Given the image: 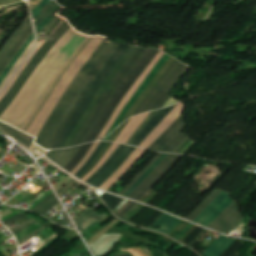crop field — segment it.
Here are the masks:
<instances>
[{"label": "crop field", "mask_w": 256, "mask_h": 256, "mask_svg": "<svg viewBox=\"0 0 256 256\" xmlns=\"http://www.w3.org/2000/svg\"><path fill=\"white\" fill-rule=\"evenodd\" d=\"M112 42L106 41L105 38L93 53L55 107L35 143L46 149H51L87 89L118 47V44Z\"/></svg>", "instance_id": "crop-field-1"}, {"label": "crop field", "mask_w": 256, "mask_h": 256, "mask_svg": "<svg viewBox=\"0 0 256 256\" xmlns=\"http://www.w3.org/2000/svg\"><path fill=\"white\" fill-rule=\"evenodd\" d=\"M103 39V37L99 36L86 38L54 79L30 117L21 127V130L37 137L49 115L74 77Z\"/></svg>", "instance_id": "crop-field-2"}, {"label": "crop field", "mask_w": 256, "mask_h": 256, "mask_svg": "<svg viewBox=\"0 0 256 256\" xmlns=\"http://www.w3.org/2000/svg\"><path fill=\"white\" fill-rule=\"evenodd\" d=\"M160 51L147 49L119 88L116 90L112 98L107 103L106 107L104 108L103 112L99 116L95 126L87 135L84 143L93 142L97 140L99 134L102 132L104 127L106 126L107 122L111 118L112 114L116 110L119 103L122 101L124 96L133 86V84L137 81L143 71L147 68V66L152 62V60L157 56Z\"/></svg>", "instance_id": "crop-field-3"}, {"label": "crop field", "mask_w": 256, "mask_h": 256, "mask_svg": "<svg viewBox=\"0 0 256 256\" xmlns=\"http://www.w3.org/2000/svg\"><path fill=\"white\" fill-rule=\"evenodd\" d=\"M127 47L128 46L126 44H121L120 47L116 50V52L113 54V56L110 58V60L107 62V64L104 66V68L101 70V72L99 73L95 81L92 83L90 88L88 89L85 97L81 101L80 105L74 112L73 116L71 117L67 125L64 127L61 135L59 136V138L57 139L56 143L52 148H63L73 128L78 123L80 117L82 116V114L90 104L91 100L99 90L105 78L115 67V65L117 64L118 60L120 59L124 51L127 49Z\"/></svg>", "instance_id": "crop-field-4"}, {"label": "crop field", "mask_w": 256, "mask_h": 256, "mask_svg": "<svg viewBox=\"0 0 256 256\" xmlns=\"http://www.w3.org/2000/svg\"><path fill=\"white\" fill-rule=\"evenodd\" d=\"M146 49L143 48H135V50L132 52L130 57L127 59L125 64L122 66L120 71L117 73L115 78L112 80V82L107 87L106 91L102 95L101 99L97 103L96 107L94 108L93 112L87 119L86 123L78 133L77 137L75 138L74 142L72 143V146L82 144L83 140L85 139L88 132L91 130V128L94 126L98 116L102 112L103 108L105 107L106 103L110 99V97L113 95L115 90L118 88V86L121 84L123 79L126 77V75L130 72V70L133 68V66L136 64V62L139 60V58L142 56V54L145 52Z\"/></svg>", "instance_id": "crop-field-5"}, {"label": "crop field", "mask_w": 256, "mask_h": 256, "mask_svg": "<svg viewBox=\"0 0 256 256\" xmlns=\"http://www.w3.org/2000/svg\"><path fill=\"white\" fill-rule=\"evenodd\" d=\"M71 27V26H70ZM66 20L63 24L56 30V32L48 39V41L41 47L40 51L31 60L29 65L26 67L24 72L6 94L4 99L0 102V115L6 110L12 100L15 98L19 90L25 84L27 79L30 77L35 68L40 64L44 57L49 53V51L54 47V45L60 40V38L66 33L70 28Z\"/></svg>", "instance_id": "crop-field-6"}, {"label": "crop field", "mask_w": 256, "mask_h": 256, "mask_svg": "<svg viewBox=\"0 0 256 256\" xmlns=\"http://www.w3.org/2000/svg\"><path fill=\"white\" fill-rule=\"evenodd\" d=\"M184 67L185 65L176 60V62L168 69L158 84L154 87L142 105L138 108L135 114L161 108L170 97V95L166 93L184 73L181 71Z\"/></svg>", "instance_id": "crop-field-7"}, {"label": "crop field", "mask_w": 256, "mask_h": 256, "mask_svg": "<svg viewBox=\"0 0 256 256\" xmlns=\"http://www.w3.org/2000/svg\"><path fill=\"white\" fill-rule=\"evenodd\" d=\"M33 33L30 18L15 32L6 46L0 52V75L24 46Z\"/></svg>", "instance_id": "crop-field-8"}, {"label": "crop field", "mask_w": 256, "mask_h": 256, "mask_svg": "<svg viewBox=\"0 0 256 256\" xmlns=\"http://www.w3.org/2000/svg\"><path fill=\"white\" fill-rule=\"evenodd\" d=\"M242 219L239 207L234 202L208 228L228 235Z\"/></svg>", "instance_id": "crop-field-9"}, {"label": "crop field", "mask_w": 256, "mask_h": 256, "mask_svg": "<svg viewBox=\"0 0 256 256\" xmlns=\"http://www.w3.org/2000/svg\"><path fill=\"white\" fill-rule=\"evenodd\" d=\"M134 49V47L129 46V48L126 50V52L124 53L123 57L121 58V60L119 61V63L116 65V67L114 68V70L112 71V73L109 75V77L107 78V80L105 81V83L102 85V87L100 88V90L98 91V93L96 94V96L94 97L93 101L91 102V104L89 105V107L87 108V110L85 111L84 115L82 116V118L80 119L79 123L77 124V126L75 127L74 131L72 132L70 138L68 139L67 143L65 144L64 148L66 147H70L74 137L76 136V134L79 132V130L81 129L82 125L84 124V122L86 121L87 117L89 116L90 112L92 111L93 107L95 106V104L98 102L99 98L101 97V95L103 94L104 90L106 89V87L108 86V84L110 83V81L112 80V78L114 77V75L117 73V71L119 70V68L122 66V64L124 63V61L126 60V58L129 56V54L131 53V51Z\"/></svg>", "instance_id": "crop-field-10"}, {"label": "crop field", "mask_w": 256, "mask_h": 256, "mask_svg": "<svg viewBox=\"0 0 256 256\" xmlns=\"http://www.w3.org/2000/svg\"><path fill=\"white\" fill-rule=\"evenodd\" d=\"M162 51L159 53V55L153 60V62L148 66V68L145 70V72L142 74V76L139 78V80L136 82L134 87L131 89V91L128 93V95L124 98V100L121 102V104L118 106L116 112L114 113L113 117L111 118L109 124L106 126V128L103 130L101 136L98 138L102 139L104 138L105 134L117 118V116L120 114V112L123 110L127 102L130 100V98L133 96V94L136 92V90L139 88V86L144 82V80L147 78V76L150 74L152 69L154 68L155 64L160 60V58L164 55Z\"/></svg>", "instance_id": "crop-field-11"}, {"label": "crop field", "mask_w": 256, "mask_h": 256, "mask_svg": "<svg viewBox=\"0 0 256 256\" xmlns=\"http://www.w3.org/2000/svg\"><path fill=\"white\" fill-rule=\"evenodd\" d=\"M185 104L179 103L173 111L153 130L149 136L142 142L141 147L148 148L181 114Z\"/></svg>", "instance_id": "crop-field-12"}, {"label": "crop field", "mask_w": 256, "mask_h": 256, "mask_svg": "<svg viewBox=\"0 0 256 256\" xmlns=\"http://www.w3.org/2000/svg\"><path fill=\"white\" fill-rule=\"evenodd\" d=\"M186 125L181 115L150 147L154 151H161Z\"/></svg>", "instance_id": "crop-field-13"}, {"label": "crop field", "mask_w": 256, "mask_h": 256, "mask_svg": "<svg viewBox=\"0 0 256 256\" xmlns=\"http://www.w3.org/2000/svg\"><path fill=\"white\" fill-rule=\"evenodd\" d=\"M170 58V56L166 55L162 58V60L156 65V67L153 69V71L151 72V74L148 76V78L146 79V81L143 83V85L138 89V91L134 94V96L132 97V99L129 101V103L127 104V106L124 108V110L122 111V113L119 115V117L117 118V120L115 121V123L112 125V127L110 128V130L108 131L107 135L116 127H118L121 119L123 118V116L125 115V113L128 111V109L133 105V103L138 99V97L141 95V93L144 91V89L146 88V86L149 84V82L152 80V78L155 76V74L160 70V68L167 62V60ZM157 75V74H156ZM154 79V78H153ZM106 135V136H107Z\"/></svg>", "instance_id": "crop-field-14"}, {"label": "crop field", "mask_w": 256, "mask_h": 256, "mask_svg": "<svg viewBox=\"0 0 256 256\" xmlns=\"http://www.w3.org/2000/svg\"><path fill=\"white\" fill-rule=\"evenodd\" d=\"M175 105L160 110L148 123L147 125L141 130L135 140L132 142V145L139 146L140 143L146 138V136L156 128L160 122L170 113Z\"/></svg>", "instance_id": "crop-field-15"}, {"label": "crop field", "mask_w": 256, "mask_h": 256, "mask_svg": "<svg viewBox=\"0 0 256 256\" xmlns=\"http://www.w3.org/2000/svg\"><path fill=\"white\" fill-rule=\"evenodd\" d=\"M174 61H175V59H173L171 57L168 60V62L161 68V70L157 73V75L154 77V79L151 81V83L145 89V91L140 96V98L136 101V103L133 105V107L130 109V111L127 113V115L124 117L122 122H124L127 118H129L133 115V113L136 111V109L141 105V103L144 101V99L147 97V95L150 93V91L153 89V87L156 85V83L159 81V79L162 77V75L174 63Z\"/></svg>", "instance_id": "crop-field-16"}, {"label": "crop field", "mask_w": 256, "mask_h": 256, "mask_svg": "<svg viewBox=\"0 0 256 256\" xmlns=\"http://www.w3.org/2000/svg\"><path fill=\"white\" fill-rule=\"evenodd\" d=\"M225 194L223 198L198 222L207 227L212 221H214L233 201Z\"/></svg>", "instance_id": "crop-field-17"}, {"label": "crop field", "mask_w": 256, "mask_h": 256, "mask_svg": "<svg viewBox=\"0 0 256 256\" xmlns=\"http://www.w3.org/2000/svg\"><path fill=\"white\" fill-rule=\"evenodd\" d=\"M144 151V149L137 148L124 165L107 182H105L100 189L107 191L133 165Z\"/></svg>", "instance_id": "crop-field-18"}, {"label": "crop field", "mask_w": 256, "mask_h": 256, "mask_svg": "<svg viewBox=\"0 0 256 256\" xmlns=\"http://www.w3.org/2000/svg\"><path fill=\"white\" fill-rule=\"evenodd\" d=\"M149 113H145V114H142V115H138V116L132 117L131 120L126 125V127L121 132V134L119 135V137L116 139V142H120V143L126 144L127 141L133 135V133L136 131V129L139 127V125L149 115Z\"/></svg>", "instance_id": "crop-field-19"}, {"label": "crop field", "mask_w": 256, "mask_h": 256, "mask_svg": "<svg viewBox=\"0 0 256 256\" xmlns=\"http://www.w3.org/2000/svg\"><path fill=\"white\" fill-rule=\"evenodd\" d=\"M135 149V147L128 146L121 157L92 186L99 188L129 158Z\"/></svg>", "instance_id": "crop-field-20"}, {"label": "crop field", "mask_w": 256, "mask_h": 256, "mask_svg": "<svg viewBox=\"0 0 256 256\" xmlns=\"http://www.w3.org/2000/svg\"><path fill=\"white\" fill-rule=\"evenodd\" d=\"M79 148L80 146L71 149L51 150L46 154V157H48L63 168L70 161V159L74 156Z\"/></svg>", "instance_id": "crop-field-21"}, {"label": "crop field", "mask_w": 256, "mask_h": 256, "mask_svg": "<svg viewBox=\"0 0 256 256\" xmlns=\"http://www.w3.org/2000/svg\"><path fill=\"white\" fill-rule=\"evenodd\" d=\"M234 241V239H229L221 235L210 247H208L201 254L204 256H220L233 244Z\"/></svg>", "instance_id": "crop-field-22"}, {"label": "crop field", "mask_w": 256, "mask_h": 256, "mask_svg": "<svg viewBox=\"0 0 256 256\" xmlns=\"http://www.w3.org/2000/svg\"><path fill=\"white\" fill-rule=\"evenodd\" d=\"M181 221L182 219L165 213L155 224L150 227V229L162 231L168 235L170 231ZM154 227H159L160 229H155Z\"/></svg>", "instance_id": "crop-field-23"}, {"label": "crop field", "mask_w": 256, "mask_h": 256, "mask_svg": "<svg viewBox=\"0 0 256 256\" xmlns=\"http://www.w3.org/2000/svg\"><path fill=\"white\" fill-rule=\"evenodd\" d=\"M127 148L126 145L120 144V146L117 148V150L114 152V154L111 156V158L97 171L95 172L87 181L86 183L92 184L95 180H97L118 158L119 156L124 152V150Z\"/></svg>", "instance_id": "crop-field-24"}, {"label": "crop field", "mask_w": 256, "mask_h": 256, "mask_svg": "<svg viewBox=\"0 0 256 256\" xmlns=\"http://www.w3.org/2000/svg\"><path fill=\"white\" fill-rule=\"evenodd\" d=\"M92 145L93 143L81 146V148L72 158V160L64 167V169L71 173L76 168V166L81 162V160L85 157L86 153Z\"/></svg>", "instance_id": "crop-field-25"}, {"label": "crop field", "mask_w": 256, "mask_h": 256, "mask_svg": "<svg viewBox=\"0 0 256 256\" xmlns=\"http://www.w3.org/2000/svg\"><path fill=\"white\" fill-rule=\"evenodd\" d=\"M188 138L189 136L180 132L162 151L175 153Z\"/></svg>", "instance_id": "crop-field-26"}, {"label": "crop field", "mask_w": 256, "mask_h": 256, "mask_svg": "<svg viewBox=\"0 0 256 256\" xmlns=\"http://www.w3.org/2000/svg\"><path fill=\"white\" fill-rule=\"evenodd\" d=\"M222 191H213L205 201L187 218V220L193 221Z\"/></svg>", "instance_id": "crop-field-27"}, {"label": "crop field", "mask_w": 256, "mask_h": 256, "mask_svg": "<svg viewBox=\"0 0 256 256\" xmlns=\"http://www.w3.org/2000/svg\"><path fill=\"white\" fill-rule=\"evenodd\" d=\"M107 215H102L99 213L94 212L89 218L83 221L81 224L78 225L79 228L82 230H87L88 228L92 227L102 219H104Z\"/></svg>", "instance_id": "crop-field-28"}, {"label": "crop field", "mask_w": 256, "mask_h": 256, "mask_svg": "<svg viewBox=\"0 0 256 256\" xmlns=\"http://www.w3.org/2000/svg\"><path fill=\"white\" fill-rule=\"evenodd\" d=\"M181 156L182 155H178L136 200L139 201L172 168Z\"/></svg>", "instance_id": "crop-field-29"}, {"label": "crop field", "mask_w": 256, "mask_h": 256, "mask_svg": "<svg viewBox=\"0 0 256 256\" xmlns=\"http://www.w3.org/2000/svg\"><path fill=\"white\" fill-rule=\"evenodd\" d=\"M101 197L112 211L124 200L123 198L109 194L107 192H105Z\"/></svg>", "instance_id": "crop-field-30"}, {"label": "crop field", "mask_w": 256, "mask_h": 256, "mask_svg": "<svg viewBox=\"0 0 256 256\" xmlns=\"http://www.w3.org/2000/svg\"><path fill=\"white\" fill-rule=\"evenodd\" d=\"M57 6L58 4L55 1L51 2L35 20L36 27H38L55 10Z\"/></svg>", "instance_id": "crop-field-31"}, {"label": "crop field", "mask_w": 256, "mask_h": 256, "mask_svg": "<svg viewBox=\"0 0 256 256\" xmlns=\"http://www.w3.org/2000/svg\"><path fill=\"white\" fill-rule=\"evenodd\" d=\"M34 44V40L31 42V44L29 45V47L26 49L25 53L23 54V56L20 58V60L16 63V65L14 66V68L11 70V72L9 73V75L6 77V79L3 81V83L0 85V91H2L3 87L5 86V84L9 81V79L12 77L13 73L17 70V68L21 65V63L24 61V59L27 57V55L29 54V52L31 51L32 47Z\"/></svg>", "instance_id": "crop-field-32"}, {"label": "crop field", "mask_w": 256, "mask_h": 256, "mask_svg": "<svg viewBox=\"0 0 256 256\" xmlns=\"http://www.w3.org/2000/svg\"><path fill=\"white\" fill-rule=\"evenodd\" d=\"M119 144L113 143V145L110 147V149L107 151V153L104 155V157L99 161V163L95 166V168L82 180L86 181L96 170H98L101 165L109 159V157L112 155V153L115 151V149L118 147Z\"/></svg>", "instance_id": "crop-field-33"}, {"label": "crop field", "mask_w": 256, "mask_h": 256, "mask_svg": "<svg viewBox=\"0 0 256 256\" xmlns=\"http://www.w3.org/2000/svg\"><path fill=\"white\" fill-rule=\"evenodd\" d=\"M34 35H32L30 37V39L28 40V42L25 44V46L22 48V50L18 53V55L14 58V60L10 63V65L7 67V69L5 70V72L2 74V76L0 77V84L1 82L4 80V78L7 76V74L10 72V70L12 69V67L15 65V63L18 61V59L22 56L23 52L25 51V49L27 48V46L30 44V42L33 40Z\"/></svg>", "instance_id": "crop-field-34"}, {"label": "crop field", "mask_w": 256, "mask_h": 256, "mask_svg": "<svg viewBox=\"0 0 256 256\" xmlns=\"http://www.w3.org/2000/svg\"><path fill=\"white\" fill-rule=\"evenodd\" d=\"M163 153H159L154 160L120 193V195H124L148 170L149 168L159 159V157Z\"/></svg>", "instance_id": "crop-field-35"}, {"label": "crop field", "mask_w": 256, "mask_h": 256, "mask_svg": "<svg viewBox=\"0 0 256 256\" xmlns=\"http://www.w3.org/2000/svg\"><path fill=\"white\" fill-rule=\"evenodd\" d=\"M45 43V41L40 40L38 42L37 48L34 51V53L31 55V57L28 59V61L25 63V65L23 66V68L20 70V72L17 74V76L14 78V80L10 83V85L6 88V90L3 92V94L0 96V101L1 99L4 97V95L8 92V90L11 88V86L13 85V83L16 81V79L19 77V75L22 73V71L25 69V67L27 66V64L30 62V60L34 57V55L39 51L40 47Z\"/></svg>", "instance_id": "crop-field-36"}, {"label": "crop field", "mask_w": 256, "mask_h": 256, "mask_svg": "<svg viewBox=\"0 0 256 256\" xmlns=\"http://www.w3.org/2000/svg\"><path fill=\"white\" fill-rule=\"evenodd\" d=\"M171 156L172 155L169 154L128 197L131 198L138 190H140Z\"/></svg>", "instance_id": "crop-field-37"}, {"label": "crop field", "mask_w": 256, "mask_h": 256, "mask_svg": "<svg viewBox=\"0 0 256 256\" xmlns=\"http://www.w3.org/2000/svg\"><path fill=\"white\" fill-rule=\"evenodd\" d=\"M112 143L107 142L105 147L102 149L98 157L95 159V161L90 165V167L79 177V179H83L92 169L93 167L97 164V162L102 158V156L106 153V151L109 149Z\"/></svg>", "instance_id": "crop-field-38"}, {"label": "crop field", "mask_w": 256, "mask_h": 256, "mask_svg": "<svg viewBox=\"0 0 256 256\" xmlns=\"http://www.w3.org/2000/svg\"><path fill=\"white\" fill-rule=\"evenodd\" d=\"M106 142H101V144L99 145V147L97 148V150L95 151V153L93 154V156L90 158V160L86 163V165L78 172L76 173L74 176H76L77 178L88 168V166L93 162V160L97 157V155L99 154V152L101 151V149L103 148V146L105 145Z\"/></svg>", "instance_id": "crop-field-39"}, {"label": "crop field", "mask_w": 256, "mask_h": 256, "mask_svg": "<svg viewBox=\"0 0 256 256\" xmlns=\"http://www.w3.org/2000/svg\"><path fill=\"white\" fill-rule=\"evenodd\" d=\"M167 155V153H164L154 166L124 196L127 197Z\"/></svg>", "instance_id": "crop-field-40"}, {"label": "crop field", "mask_w": 256, "mask_h": 256, "mask_svg": "<svg viewBox=\"0 0 256 256\" xmlns=\"http://www.w3.org/2000/svg\"><path fill=\"white\" fill-rule=\"evenodd\" d=\"M177 155H173L167 162L166 164L149 180V182L139 191L137 192L132 199H136L140 193L160 174V172L176 157Z\"/></svg>", "instance_id": "crop-field-41"}, {"label": "crop field", "mask_w": 256, "mask_h": 256, "mask_svg": "<svg viewBox=\"0 0 256 256\" xmlns=\"http://www.w3.org/2000/svg\"><path fill=\"white\" fill-rule=\"evenodd\" d=\"M100 142H96L94 143V145L92 146V148L89 150V152L87 153L86 157L82 160V162L77 166V168L71 173V174H75L77 171H79L84 165L85 163L89 160L91 154L93 153V151L96 149V147L99 145Z\"/></svg>", "instance_id": "crop-field-42"}, {"label": "crop field", "mask_w": 256, "mask_h": 256, "mask_svg": "<svg viewBox=\"0 0 256 256\" xmlns=\"http://www.w3.org/2000/svg\"><path fill=\"white\" fill-rule=\"evenodd\" d=\"M64 7L59 6L38 28L39 33Z\"/></svg>", "instance_id": "crop-field-43"}, {"label": "crop field", "mask_w": 256, "mask_h": 256, "mask_svg": "<svg viewBox=\"0 0 256 256\" xmlns=\"http://www.w3.org/2000/svg\"><path fill=\"white\" fill-rule=\"evenodd\" d=\"M39 227H41V225H39L38 223L34 224L33 226L25 229L24 231H22L21 233H19L18 235H16L17 240H20L24 237H26L27 235H29L30 233H32L33 231H35L36 229H38Z\"/></svg>", "instance_id": "crop-field-44"}, {"label": "crop field", "mask_w": 256, "mask_h": 256, "mask_svg": "<svg viewBox=\"0 0 256 256\" xmlns=\"http://www.w3.org/2000/svg\"><path fill=\"white\" fill-rule=\"evenodd\" d=\"M34 223H36V222L34 220L30 219V220H28V221L18 225L17 227H15V228H13L11 230L14 232V234H17L20 231L24 230L25 228H27L28 226H30V225H32Z\"/></svg>", "instance_id": "crop-field-45"}, {"label": "crop field", "mask_w": 256, "mask_h": 256, "mask_svg": "<svg viewBox=\"0 0 256 256\" xmlns=\"http://www.w3.org/2000/svg\"><path fill=\"white\" fill-rule=\"evenodd\" d=\"M226 192H222L204 211L203 213L194 221L197 223L214 205L215 203L225 194Z\"/></svg>", "instance_id": "crop-field-46"}, {"label": "crop field", "mask_w": 256, "mask_h": 256, "mask_svg": "<svg viewBox=\"0 0 256 256\" xmlns=\"http://www.w3.org/2000/svg\"><path fill=\"white\" fill-rule=\"evenodd\" d=\"M0 127L10 136H14L19 130L0 122Z\"/></svg>", "instance_id": "crop-field-47"}, {"label": "crop field", "mask_w": 256, "mask_h": 256, "mask_svg": "<svg viewBox=\"0 0 256 256\" xmlns=\"http://www.w3.org/2000/svg\"><path fill=\"white\" fill-rule=\"evenodd\" d=\"M159 110L152 111L151 114L148 116V118L144 121V123L141 125V127L137 130V132L133 135V137L128 141V145L131 143V141L136 137V135L140 132V130L146 125V123L158 112Z\"/></svg>", "instance_id": "crop-field-48"}, {"label": "crop field", "mask_w": 256, "mask_h": 256, "mask_svg": "<svg viewBox=\"0 0 256 256\" xmlns=\"http://www.w3.org/2000/svg\"><path fill=\"white\" fill-rule=\"evenodd\" d=\"M93 212L90 210H86L84 211L81 215H79L78 217H76V219L74 220L76 222V224L78 225L83 219L89 217Z\"/></svg>", "instance_id": "crop-field-49"}, {"label": "crop field", "mask_w": 256, "mask_h": 256, "mask_svg": "<svg viewBox=\"0 0 256 256\" xmlns=\"http://www.w3.org/2000/svg\"><path fill=\"white\" fill-rule=\"evenodd\" d=\"M57 199H56V197H55V195L53 196V197H51L44 205H42L38 210H37V212L38 213H42L50 204H52L54 201H56ZM36 212V213H37Z\"/></svg>", "instance_id": "crop-field-50"}, {"label": "crop field", "mask_w": 256, "mask_h": 256, "mask_svg": "<svg viewBox=\"0 0 256 256\" xmlns=\"http://www.w3.org/2000/svg\"><path fill=\"white\" fill-rule=\"evenodd\" d=\"M51 0H44L38 8L33 12V18L37 17L41 10L50 2Z\"/></svg>", "instance_id": "crop-field-51"}, {"label": "crop field", "mask_w": 256, "mask_h": 256, "mask_svg": "<svg viewBox=\"0 0 256 256\" xmlns=\"http://www.w3.org/2000/svg\"><path fill=\"white\" fill-rule=\"evenodd\" d=\"M130 120V119H129ZM128 120V121H129ZM127 121V122H128ZM127 122H125L121 127H119L114 133H113V135L110 137V139L109 140H111V141H115V139L117 138V136L119 135V133L121 132V130L124 128V126L127 124Z\"/></svg>", "instance_id": "crop-field-52"}, {"label": "crop field", "mask_w": 256, "mask_h": 256, "mask_svg": "<svg viewBox=\"0 0 256 256\" xmlns=\"http://www.w3.org/2000/svg\"><path fill=\"white\" fill-rule=\"evenodd\" d=\"M45 228H40L38 230H36L35 232H33L32 234H30L29 236H27L26 238H24L23 240L19 241V245L22 244L23 242L27 241L28 239H30L31 237L35 236L36 234H38L40 231H42Z\"/></svg>", "instance_id": "crop-field-53"}, {"label": "crop field", "mask_w": 256, "mask_h": 256, "mask_svg": "<svg viewBox=\"0 0 256 256\" xmlns=\"http://www.w3.org/2000/svg\"><path fill=\"white\" fill-rule=\"evenodd\" d=\"M193 224H189L175 239L179 240L191 227Z\"/></svg>", "instance_id": "crop-field-54"}, {"label": "crop field", "mask_w": 256, "mask_h": 256, "mask_svg": "<svg viewBox=\"0 0 256 256\" xmlns=\"http://www.w3.org/2000/svg\"><path fill=\"white\" fill-rule=\"evenodd\" d=\"M135 204H136L135 202L131 203L126 209H124V210L120 213L119 217H122L124 214H126Z\"/></svg>", "instance_id": "crop-field-55"}, {"label": "crop field", "mask_w": 256, "mask_h": 256, "mask_svg": "<svg viewBox=\"0 0 256 256\" xmlns=\"http://www.w3.org/2000/svg\"><path fill=\"white\" fill-rule=\"evenodd\" d=\"M177 102H179V101H177V100H175L174 98L171 97V98L168 100V102L163 106V108L166 107V106H168V105L175 104V103H177Z\"/></svg>", "instance_id": "crop-field-56"}, {"label": "crop field", "mask_w": 256, "mask_h": 256, "mask_svg": "<svg viewBox=\"0 0 256 256\" xmlns=\"http://www.w3.org/2000/svg\"><path fill=\"white\" fill-rule=\"evenodd\" d=\"M59 202L58 200L54 202L51 206H49L43 213L42 215L46 214L48 211H50L55 205H57Z\"/></svg>", "instance_id": "crop-field-57"}, {"label": "crop field", "mask_w": 256, "mask_h": 256, "mask_svg": "<svg viewBox=\"0 0 256 256\" xmlns=\"http://www.w3.org/2000/svg\"><path fill=\"white\" fill-rule=\"evenodd\" d=\"M70 220H69V218H68V216L67 217H65L63 220H61L58 224H60V225H65L66 223H68Z\"/></svg>", "instance_id": "crop-field-58"}, {"label": "crop field", "mask_w": 256, "mask_h": 256, "mask_svg": "<svg viewBox=\"0 0 256 256\" xmlns=\"http://www.w3.org/2000/svg\"><path fill=\"white\" fill-rule=\"evenodd\" d=\"M53 194H51L49 197H47L43 202H41L36 208L33 209V211H35L36 209H38L44 202H46L51 196H53Z\"/></svg>", "instance_id": "crop-field-59"}, {"label": "crop field", "mask_w": 256, "mask_h": 256, "mask_svg": "<svg viewBox=\"0 0 256 256\" xmlns=\"http://www.w3.org/2000/svg\"><path fill=\"white\" fill-rule=\"evenodd\" d=\"M190 141L191 139H189L183 146H181L176 153H179Z\"/></svg>", "instance_id": "crop-field-60"}, {"label": "crop field", "mask_w": 256, "mask_h": 256, "mask_svg": "<svg viewBox=\"0 0 256 256\" xmlns=\"http://www.w3.org/2000/svg\"><path fill=\"white\" fill-rule=\"evenodd\" d=\"M21 215H23V214H19V215L15 216V217H12V218H10V219L4 221V224L8 223L9 221H11V220H13V219H15V218H17V217H19V216H21Z\"/></svg>", "instance_id": "crop-field-61"}, {"label": "crop field", "mask_w": 256, "mask_h": 256, "mask_svg": "<svg viewBox=\"0 0 256 256\" xmlns=\"http://www.w3.org/2000/svg\"><path fill=\"white\" fill-rule=\"evenodd\" d=\"M110 136H111V135H110ZM110 136H109V137H110ZM109 137H107V138H105V139H103V140H108Z\"/></svg>", "instance_id": "crop-field-62"}]
</instances>
